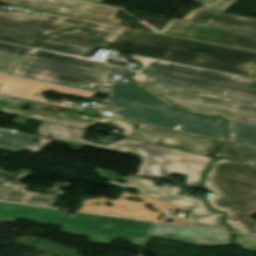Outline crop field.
<instances>
[{
  "label": "crop field",
  "instance_id": "crop-field-1",
  "mask_svg": "<svg viewBox=\"0 0 256 256\" xmlns=\"http://www.w3.org/2000/svg\"><path fill=\"white\" fill-rule=\"evenodd\" d=\"M110 183L122 188L137 189L140 191V194L131 195L125 191L118 200H110L107 198L84 200L81 210L139 219L157 220L159 214L164 211V209L174 210L182 208L192 210L186 225L221 230L228 229L221 221L224 214L208 210L202 197L191 198L179 196L180 187L178 186L165 183L158 186L151 180L136 177H130L126 184L114 181H110ZM128 197H137L144 200V202L126 200ZM105 201L113 203L114 206H105ZM148 202L153 204L155 209L159 212H151L145 207Z\"/></svg>",
  "mask_w": 256,
  "mask_h": 256
},
{
  "label": "crop field",
  "instance_id": "crop-field-2",
  "mask_svg": "<svg viewBox=\"0 0 256 256\" xmlns=\"http://www.w3.org/2000/svg\"><path fill=\"white\" fill-rule=\"evenodd\" d=\"M124 51L231 73L251 76L256 53L199 43L177 37L121 33L112 44Z\"/></svg>",
  "mask_w": 256,
  "mask_h": 256
},
{
  "label": "crop field",
  "instance_id": "crop-field-3",
  "mask_svg": "<svg viewBox=\"0 0 256 256\" xmlns=\"http://www.w3.org/2000/svg\"><path fill=\"white\" fill-rule=\"evenodd\" d=\"M204 187L215 192L206 196L211 208L228 212L233 231L256 234V167L215 159L207 171Z\"/></svg>",
  "mask_w": 256,
  "mask_h": 256
},
{
  "label": "crop field",
  "instance_id": "crop-field-4",
  "mask_svg": "<svg viewBox=\"0 0 256 256\" xmlns=\"http://www.w3.org/2000/svg\"><path fill=\"white\" fill-rule=\"evenodd\" d=\"M53 128L55 130H52ZM44 131H50L53 132L54 134H46L44 133ZM85 132V130H79L53 123H42L36 134L41 136H50L52 138H59L71 142L121 152L125 154H128L129 152L136 153L142 158H144L138 170V175L146 177L153 176L164 179V177L167 174H170L171 171L185 173L188 174L187 185H180L197 188L200 187L201 172L204 171V169L206 168L207 164L211 159V157L208 156L164 148L129 139H123L109 146L94 144L81 139V136ZM162 162L169 163L172 165H165L162 164ZM159 164L163 165L159 176L149 175L148 172L151 171L152 166H158Z\"/></svg>",
  "mask_w": 256,
  "mask_h": 256
},
{
  "label": "crop field",
  "instance_id": "crop-field-5",
  "mask_svg": "<svg viewBox=\"0 0 256 256\" xmlns=\"http://www.w3.org/2000/svg\"><path fill=\"white\" fill-rule=\"evenodd\" d=\"M65 213L46 208L0 202V222H15L26 218L40 223L64 226L62 231L90 236L88 241L111 244L115 237L128 238L133 244L142 245L152 223L77 213L70 219ZM111 224L112 227H105Z\"/></svg>",
  "mask_w": 256,
  "mask_h": 256
},
{
  "label": "crop field",
  "instance_id": "crop-field-6",
  "mask_svg": "<svg viewBox=\"0 0 256 256\" xmlns=\"http://www.w3.org/2000/svg\"><path fill=\"white\" fill-rule=\"evenodd\" d=\"M133 72L100 61L31 49L12 74L90 90L94 85L111 86L116 81L114 74L128 76Z\"/></svg>",
  "mask_w": 256,
  "mask_h": 256
},
{
  "label": "crop field",
  "instance_id": "crop-field-7",
  "mask_svg": "<svg viewBox=\"0 0 256 256\" xmlns=\"http://www.w3.org/2000/svg\"><path fill=\"white\" fill-rule=\"evenodd\" d=\"M135 78L256 102V80L135 56Z\"/></svg>",
  "mask_w": 256,
  "mask_h": 256
},
{
  "label": "crop field",
  "instance_id": "crop-field-8",
  "mask_svg": "<svg viewBox=\"0 0 256 256\" xmlns=\"http://www.w3.org/2000/svg\"><path fill=\"white\" fill-rule=\"evenodd\" d=\"M114 117L225 140L224 120L109 96Z\"/></svg>",
  "mask_w": 256,
  "mask_h": 256
},
{
  "label": "crop field",
  "instance_id": "crop-field-9",
  "mask_svg": "<svg viewBox=\"0 0 256 256\" xmlns=\"http://www.w3.org/2000/svg\"><path fill=\"white\" fill-rule=\"evenodd\" d=\"M173 108L256 125V104L134 79Z\"/></svg>",
  "mask_w": 256,
  "mask_h": 256
},
{
  "label": "crop field",
  "instance_id": "crop-field-10",
  "mask_svg": "<svg viewBox=\"0 0 256 256\" xmlns=\"http://www.w3.org/2000/svg\"><path fill=\"white\" fill-rule=\"evenodd\" d=\"M77 27L86 29L111 44L124 29L120 26L44 12L36 16L17 11H0V28L43 35Z\"/></svg>",
  "mask_w": 256,
  "mask_h": 256
},
{
  "label": "crop field",
  "instance_id": "crop-field-11",
  "mask_svg": "<svg viewBox=\"0 0 256 256\" xmlns=\"http://www.w3.org/2000/svg\"><path fill=\"white\" fill-rule=\"evenodd\" d=\"M54 115L65 116L92 123H97L98 121L115 123L118 124L115 128L125 130L122 134L128 138L168 145L174 148H184L189 151L202 154L211 153L222 143L221 141L217 140L207 139L203 137H198L194 135L184 134L180 132L128 122L105 116H101L99 117V119H94L83 115H76L71 113H57ZM132 125H138L140 126V128H133Z\"/></svg>",
  "mask_w": 256,
  "mask_h": 256
},
{
  "label": "crop field",
  "instance_id": "crop-field-12",
  "mask_svg": "<svg viewBox=\"0 0 256 256\" xmlns=\"http://www.w3.org/2000/svg\"><path fill=\"white\" fill-rule=\"evenodd\" d=\"M162 33L256 51V34L179 19H172Z\"/></svg>",
  "mask_w": 256,
  "mask_h": 256
},
{
  "label": "crop field",
  "instance_id": "crop-field-13",
  "mask_svg": "<svg viewBox=\"0 0 256 256\" xmlns=\"http://www.w3.org/2000/svg\"><path fill=\"white\" fill-rule=\"evenodd\" d=\"M3 2L14 3L26 7L72 15L92 20L103 21L118 25L120 19L114 17L119 9L96 5L76 0H0Z\"/></svg>",
  "mask_w": 256,
  "mask_h": 256
},
{
  "label": "crop field",
  "instance_id": "crop-field-14",
  "mask_svg": "<svg viewBox=\"0 0 256 256\" xmlns=\"http://www.w3.org/2000/svg\"><path fill=\"white\" fill-rule=\"evenodd\" d=\"M0 92L21 96L25 98L35 99L47 102L41 97V92L44 90H54L58 92L73 94L77 96L87 97L92 96V92L76 90L30 79L10 76L0 73ZM35 93L39 94L38 96Z\"/></svg>",
  "mask_w": 256,
  "mask_h": 256
},
{
  "label": "crop field",
  "instance_id": "crop-field-15",
  "mask_svg": "<svg viewBox=\"0 0 256 256\" xmlns=\"http://www.w3.org/2000/svg\"><path fill=\"white\" fill-rule=\"evenodd\" d=\"M183 19L256 32L255 20L216 14L214 12L208 11L204 7L191 11L189 14L183 17Z\"/></svg>",
  "mask_w": 256,
  "mask_h": 256
},
{
  "label": "crop field",
  "instance_id": "crop-field-16",
  "mask_svg": "<svg viewBox=\"0 0 256 256\" xmlns=\"http://www.w3.org/2000/svg\"><path fill=\"white\" fill-rule=\"evenodd\" d=\"M32 174L27 171H18L11 174L0 170V200L23 202V197L28 191H24L26 185L19 181Z\"/></svg>",
  "mask_w": 256,
  "mask_h": 256
},
{
  "label": "crop field",
  "instance_id": "crop-field-17",
  "mask_svg": "<svg viewBox=\"0 0 256 256\" xmlns=\"http://www.w3.org/2000/svg\"><path fill=\"white\" fill-rule=\"evenodd\" d=\"M35 48L53 50L65 54L84 56L89 58L96 50V47L42 37L35 44Z\"/></svg>",
  "mask_w": 256,
  "mask_h": 256
},
{
  "label": "crop field",
  "instance_id": "crop-field-18",
  "mask_svg": "<svg viewBox=\"0 0 256 256\" xmlns=\"http://www.w3.org/2000/svg\"><path fill=\"white\" fill-rule=\"evenodd\" d=\"M35 138L39 143L32 141ZM51 140L41 139L29 135H22L14 132H7L0 129V145L13 147L21 150L37 153Z\"/></svg>",
  "mask_w": 256,
  "mask_h": 256
},
{
  "label": "crop field",
  "instance_id": "crop-field-19",
  "mask_svg": "<svg viewBox=\"0 0 256 256\" xmlns=\"http://www.w3.org/2000/svg\"><path fill=\"white\" fill-rule=\"evenodd\" d=\"M228 160L256 165V148L226 143L216 154Z\"/></svg>",
  "mask_w": 256,
  "mask_h": 256
},
{
  "label": "crop field",
  "instance_id": "crop-field-20",
  "mask_svg": "<svg viewBox=\"0 0 256 256\" xmlns=\"http://www.w3.org/2000/svg\"><path fill=\"white\" fill-rule=\"evenodd\" d=\"M112 96L167 107L163 103L143 91L141 88L123 81H121L119 85L114 89Z\"/></svg>",
  "mask_w": 256,
  "mask_h": 256
},
{
  "label": "crop field",
  "instance_id": "crop-field-21",
  "mask_svg": "<svg viewBox=\"0 0 256 256\" xmlns=\"http://www.w3.org/2000/svg\"><path fill=\"white\" fill-rule=\"evenodd\" d=\"M229 141L256 147V126L228 120Z\"/></svg>",
  "mask_w": 256,
  "mask_h": 256
},
{
  "label": "crop field",
  "instance_id": "crop-field-22",
  "mask_svg": "<svg viewBox=\"0 0 256 256\" xmlns=\"http://www.w3.org/2000/svg\"><path fill=\"white\" fill-rule=\"evenodd\" d=\"M46 37H51V38L96 46V47H103V48H108L110 46L84 30H71V31H67V32H63V33H59L51 36H46Z\"/></svg>",
  "mask_w": 256,
  "mask_h": 256
},
{
  "label": "crop field",
  "instance_id": "crop-field-23",
  "mask_svg": "<svg viewBox=\"0 0 256 256\" xmlns=\"http://www.w3.org/2000/svg\"><path fill=\"white\" fill-rule=\"evenodd\" d=\"M0 111L12 113V114H16V115H22V116H26V117L32 115L34 118H37V119L48 120V121H52V122H56V123H60V124H64V125H68V126H72V127L82 128V129H85L88 126H90V124L77 122V121H73V120H68V119L55 117V116L43 115V114H39V113L22 112V111H15V110L2 109V108H0Z\"/></svg>",
  "mask_w": 256,
  "mask_h": 256
},
{
  "label": "crop field",
  "instance_id": "crop-field-24",
  "mask_svg": "<svg viewBox=\"0 0 256 256\" xmlns=\"http://www.w3.org/2000/svg\"><path fill=\"white\" fill-rule=\"evenodd\" d=\"M38 36L22 32L0 29V39L30 45Z\"/></svg>",
  "mask_w": 256,
  "mask_h": 256
},
{
  "label": "crop field",
  "instance_id": "crop-field-25",
  "mask_svg": "<svg viewBox=\"0 0 256 256\" xmlns=\"http://www.w3.org/2000/svg\"><path fill=\"white\" fill-rule=\"evenodd\" d=\"M27 104H30L33 110L41 111V108L36 101H29L13 96L0 94V106L21 109Z\"/></svg>",
  "mask_w": 256,
  "mask_h": 256
},
{
  "label": "crop field",
  "instance_id": "crop-field-26",
  "mask_svg": "<svg viewBox=\"0 0 256 256\" xmlns=\"http://www.w3.org/2000/svg\"><path fill=\"white\" fill-rule=\"evenodd\" d=\"M23 57L0 51V72L11 74Z\"/></svg>",
  "mask_w": 256,
  "mask_h": 256
},
{
  "label": "crop field",
  "instance_id": "crop-field-27",
  "mask_svg": "<svg viewBox=\"0 0 256 256\" xmlns=\"http://www.w3.org/2000/svg\"><path fill=\"white\" fill-rule=\"evenodd\" d=\"M58 196L30 192L26 197L27 204L52 207Z\"/></svg>",
  "mask_w": 256,
  "mask_h": 256
},
{
  "label": "crop field",
  "instance_id": "crop-field-28",
  "mask_svg": "<svg viewBox=\"0 0 256 256\" xmlns=\"http://www.w3.org/2000/svg\"><path fill=\"white\" fill-rule=\"evenodd\" d=\"M209 9L223 13L237 0H200Z\"/></svg>",
  "mask_w": 256,
  "mask_h": 256
},
{
  "label": "crop field",
  "instance_id": "crop-field-29",
  "mask_svg": "<svg viewBox=\"0 0 256 256\" xmlns=\"http://www.w3.org/2000/svg\"><path fill=\"white\" fill-rule=\"evenodd\" d=\"M0 50L25 55L29 49L0 43Z\"/></svg>",
  "mask_w": 256,
  "mask_h": 256
},
{
  "label": "crop field",
  "instance_id": "crop-field-30",
  "mask_svg": "<svg viewBox=\"0 0 256 256\" xmlns=\"http://www.w3.org/2000/svg\"><path fill=\"white\" fill-rule=\"evenodd\" d=\"M96 170H97V172L100 173V176H103V177H107V178H111V179H113V178L124 179L125 178V177L118 176L117 173H115V172L107 171L105 169L97 168Z\"/></svg>",
  "mask_w": 256,
  "mask_h": 256
},
{
  "label": "crop field",
  "instance_id": "crop-field-31",
  "mask_svg": "<svg viewBox=\"0 0 256 256\" xmlns=\"http://www.w3.org/2000/svg\"><path fill=\"white\" fill-rule=\"evenodd\" d=\"M27 119H31V118L18 116L13 122L20 123V124H25ZM33 120H36V119H33ZM36 121L42 122V120H36Z\"/></svg>",
  "mask_w": 256,
  "mask_h": 256
},
{
  "label": "crop field",
  "instance_id": "crop-field-32",
  "mask_svg": "<svg viewBox=\"0 0 256 256\" xmlns=\"http://www.w3.org/2000/svg\"><path fill=\"white\" fill-rule=\"evenodd\" d=\"M68 144L70 147H72L73 149H77V150H81L83 147H85L84 145H79V144H74V143H68Z\"/></svg>",
  "mask_w": 256,
  "mask_h": 256
},
{
  "label": "crop field",
  "instance_id": "crop-field-33",
  "mask_svg": "<svg viewBox=\"0 0 256 256\" xmlns=\"http://www.w3.org/2000/svg\"><path fill=\"white\" fill-rule=\"evenodd\" d=\"M161 167H162L161 165H159L158 167H155V166L153 167L154 170H157L155 173L156 175L159 174Z\"/></svg>",
  "mask_w": 256,
  "mask_h": 256
},
{
  "label": "crop field",
  "instance_id": "crop-field-34",
  "mask_svg": "<svg viewBox=\"0 0 256 256\" xmlns=\"http://www.w3.org/2000/svg\"><path fill=\"white\" fill-rule=\"evenodd\" d=\"M0 148H3V149H8V150L16 151V152H20V151H21V150L12 149V148L3 147V146H0Z\"/></svg>",
  "mask_w": 256,
  "mask_h": 256
},
{
  "label": "crop field",
  "instance_id": "crop-field-35",
  "mask_svg": "<svg viewBox=\"0 0 256 256\" xmlns=\"http://www.w3.org/2000/svg\"><path fill=\"white\" fill-rule=\"evenodd\" d=\"M86 1L100 3L102 0H86Z\"/></svg>",
  "mask_w": 256,
  "mask_h": 256
},
{
  "label": "crop field",
  "instance_id": "crop-field-36",
  "mask_svg": "<svg viewBox=\"0 0 256 256\" xmlns=\"http://www.w3.org/2000/svg\"><path fill=\"white\" fill-rule=\"evenodd\" d=\"M253 77L256 78V74Z\"/></svg>",
  "mask_w": 256,
  "mask_h": 256
}]
</instances>
